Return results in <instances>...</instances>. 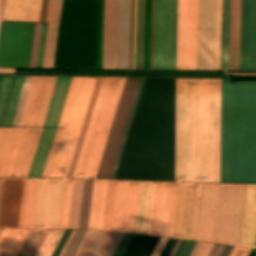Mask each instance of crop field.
<instances>
[{
  "mask_svg": "<svg viewBox=\"0 0 256 256\" xmlns=\"http://www.w3.org/2000/svg\"><path fill=\"white\" fill-rule=\"evenodd\" d=\"M177 79H146L115 179L174 181ZM222 80L178 79L175 181L220 182ZM221 182L256 183V84L223 80Z\"/></svg>",
  "mask_w": 256,
  "mask_h": 256,
  "instance_id": "obj_1",
  "label": "crop field"
},
{
  "mask_svg": "<svg viewBox=\"0 0 256 256\" xmlns=\"http://www.w3.org/2000/svg\"><path fill=\"white\" fill-rule=\"evenodd\" d=\"M171 1L172 0H163L161 69H169ZM198 2L199 0H189V16H188V0H179V15H178V0L172 1L170 69H176L177 15H178L177 69H186L187 16H188L187 69H196ZM161 27H162V0H155L153 69H160Z\"/></svg>",
  "mask_w": 256,
  "mask_h": 256,
  "instance_id": "obj_2",
  "label": "crop field"
},
{
  "mask_svg": "<svg viewBox=\"0 0 256 256\" xmlns=\"http://www.w3.org/2000/svg\"><path fill=\"white\" fill-rule=\"evenodd\" d=\"M246 185L200 184L193 240L238 246Z\"/></svg>",
  "mask_w": 256,
  "mask_h": 256,
  "instance_id": "obj_3",
  "label": "crop field"
},
{
  "mask_svg": "<svg viewBox=\"0 0 256 256\" xmlns=\"http://www.w3.org/2000/svg\"><path fill=\"white\" fill-rule=\"evenodd\" d=\"M74 0H63L59 35L54 68H69ZM99 0H85V41H84V0H75L74 22L70 68H89L90 24L91 55L90 68H97Z\"/></svg>",
  "mask_w": 256,
  "mask_h": 256,
  "instance_id": "obj_4",
  "label": "crop field"
},
{
  "mask_svg": "<svg viewBox=\"0 0 256 256\" xmlns=\"http://www.w3.org/2000/svg\"><path fill=\"white\" fill-rule=\"evenodd\" d=\"M51 179H31L25 228L44 229ZM73 180L52 179L45 229H67Z\"/></svg>",
  "mask_w": 256,
  "mask_h": 256,
  "instance_id": "obj_5",
  "label": "crop field"
},
{
  "mask_svg": "<svg viewBox=\"0 0 256 256\" xmlns=\"http://www.w3.org/2000/svg\"><path fill=\"white\" fill-rule=\"evenodd\" d=\"M95 79L71 78L58 126L64 129L48 177H66Z\"/></svg>",
  "mask_w": 256,
  "mask_h": 256,
  "instance_id": "obj_6",
  "label": "crop field"
},
{
  "mask_svg": "<svg viewBox=\"0 0 256 256\" xmlns=\"http://www.w3.org/2000/svg\"><path fill=\"white\" fill-rule=\"evenodd\" d=\"M121 78H103L73 178H90Z\"/></svg>",
  "mask_w": 256,
  "mask_h": 256,
  "instance_id": "obj_7",
  "label": "crop field"
},
{
  "mask_svg": "<svg viewBox=\"0 0 256 256\" xmlns=\"http://www.w3.org/2000/svg\"><path fill=\"white\" fill-rule=\"evenodd\" d=\"M141 79H127L96 179H110Z\"/></svg>",
  "mask_w": 256,
  "mask_h": 256,
  "instance_id": "obj_8",
  "label": "crop field"
},
{
  "mask_svg": "<svg viewBox=\"0 0 256 256\" xmlns=\"http://www.w3.org/2000/svg\"><path fill=\"white\" fill-rule=\"evenodd\" d=\"M34 23L2 22L0 67H28Z\"/></svg>",
  "mask_w": 256,
  "mask_h": 256,
  "instance_id": "obj_9",
  "label": "crop field"
},
{
  "mask_svg": "<svg viewBox=\"0 0 256 256\" xmlns=\"http://www.w3.org/2000/svg\"><path fill=\"white\" fill-rule=\"evenodd\" d=\"M199 184L176 183L169 237L192 240Z\"/></svg>",
  "mask_w": 256,
  "mask_h": 256,
  "instance_id": "obj_10",
  "label": "crop field"
},
{
  "mask_svg": "<svg viewBox=\"0 0 256 256\" xmlns=\"http://www.w3.org/2000/svg\"><path fill=\"white\" fill-rule=\"evenodd\" d=\"M57 77H33L19 127H43Z\"/></svg>",
  "mask_w": 256,
  "mask_h": 256,
  "instance_id": "obj_11",
  "label": "crop field"
},
{
  "mask_svg": "<svg viewBox=\"0 0 256 256\" xmlns=\"http://www.w3.org/2000/svg\"><path fill=\"white\" fill-rule=\"evenodd\" d=\"M217 0H200L197 69H214Z\"/></svg>",
  "mask_w": 256,
  "mask_h": 256,
  "instance_id": "obj_12",
  "label": "crop field"
},
{
  "mask_svg": "<svg viewBox=\"0 0 256 256\" xmlns=\"http://www.w3.org/2000/svg\"><path fill=\"white\" fill-rule=\"evenodd\" d=\"M174 186L155 182L149 235L168 237Z\"/></svg>",
  "mask_w": 256,
  "mask_h": 256,
  "instance_id": "obj_13",
  "label": "crop field"
},
{
  "mask_svg": "<svg viewBox=\"0 0 256 256\" xmlns=\"http://www.w3.org/2000/svg\"><path fill=\"white\" fill-rule=\"evenodd\" d=\"M240 70H256V0H242Z\"/></svg>",
  "mask_w": 256,
  "mask_h": 256,
  "instance_id": "obj_14",
  "label": "crop field"
},
{
  "mask_svg": "<svg viewBox=\"0 0 256 256\" xmlns=\"http://www.w3.org/2000/svg\"><path fill=\"white\" fill-rule=\"evenodd\" d=\"M139 182L121 181L115 231L132 233Z\"/></svg>",
  "mask_w": 256,
  "mask_h": 256,
  "instance_id": "obj_15",
  "label": "crop field"
},
{
  "mask_svg": "<svg viewBox=\"0 0 256 256\" xmlns=\"http://www.w3.org/2000/svg\"><path fill=\"white\" fill-rule=\"evenodd\" d=\"M123 234L87 231L75 256H112Z\"/></svg>",
  "mask_w": 256,
  "mask_h": 256,
  "instance_id": "obj_16",
  "label": "crop field"
},
{
  "mask_svg": "<svg viewBox=\"0 0 256 256\" xmlns=\"http://www.w3.org/2000/svg\"><path fill=\"white\" fill-rule=\"evenodd\" d=\"M23 182H24V179H15V183H14V179H5L2 207H1V215H0V227L8 228L12 191H13V183H14V191H13L9 228H17L21 196H22V189H23Z\"/></svg>",
  "mask_w": 256,
  "mask_h": 256,
  "instance_id": "obj_17",
  "label": "crop field"
},
{
  "mask_svg": "<svg viewBox=\"0 0 256 256\" xmlns=\"http://www.w3.org/2000/svg\"><path fill=\"white\" fill-rule=\"evenodd\" d=\"M110 0H104L102 68H108ZM117 0H111L109 68H115Z\"/></svg>",
  "mask_w": 256,
  "mask_h": 256,
  "instance_id": "obj_18",
  "label": "crop field"
},
{
  "mask_svg": "<svg viewBox=\"0 0 256 256\" xmlns=\"http://www.w3.org/2000/svg\"><path fill=\"white\" fill-rule=\"evenodd\" d=\"M256 237V186L247 185L239 246L254 249Z\"/></svg>",
  "mask_w": 256,
  "mask_h": 256,
  "instance_id": "obj_19",
  "label": "crop field"
},
{
  "mask_svg": "<svg viewBox=\"0 0 256 256\" xmlns=\"http://www.w3.org/2000/svg\"><path fill=\"white\" fill-rule=\"evenodd\" d=\"M42 0H5L2 20L39 22Z\"/></svg>",
  "mask_w": 256,
  "mask_h": 256,
  "instance_id": "obj_20",
  "label": "crop field"
},
{
  "mask_svg": "<svg viewBox=\"0 0 256 256\" xmlns=\"http://www.w3.org/2000/svg\"><path fill=\"white\" fill-rule=\"evenodd\" d=\"M24 128H0V177H8Z\"/></svg>",
  "mask_w": 256,
  "mask_h": 256,
  "instance_id": "obj_21",
  "label": "crop field"
},
{
  "mask_svg": "<svg viewBox=\"0 0 256 256\" xmlns=\"http://www.w3.org/2000/svg\"><path fill=\"white\" fill-rule=\"evenodd\" d=\"M62 0H49L46 22L59 23ZM59 24H48L42 67L53 68Z\"/></svg>",
  "mask_w": 256,
  "mask_h": 256,
  "instance_id": "obj_22",
  "label": "crop field"
},
{
  "mask_svg": "<svg viewBox=\"0 0 256 256\" xmlns=\"http://www.w3.org/2000/svg\"><path fill=\"white\" fill-rule=\"evenodd\" d=\"M241 0H231L228 70H239Z\"/></svg>",
  "mask_w": 256,
  "mask_h": 256,
  "instance_id": "obj_23",
  "label": "crop field"
},
{
  "mask_svg": "<svg viewBox=\"0 0 256 256\" xmlns=\"http://www.w3.org/2000/svg\"><path fill=\"white\" fill-rule=\"evenodd\" d=\"M154 182H140L134 233L148 235Z\"/></svg>",
  "mask_w": 256,
  "mask_h": 256,
  "instance_id": "obj_24",
  "label": "crop field"
},
{
  "mask_svg": "<svg viewBox=\"0 0 256 256\" xmlns=\"http://www.w3.org/2000/svg\"><path fill=\"white\" fill-rule=\"evenodd\" d=\"M71 77H58L44 127H57Z\"/></svg>",
  "mask_w": 256,
  "mask_h": 256,
  "instance_id": "obj_25",
  "label": "crop field"
},
{
  "mask_svg": "<svg viewBox=\"0 0 256 256\" xmlns=\"http://www.w3.org/2000/svg\"><path fill=\"white\" fill-rule=\"evenodd\" d=\"M57 128H44L28 177H40Z\"/></svg>",
  "mask_w": 256,
  "mask_h": 256,
  "instance_id": "obj_26",
  "label": "crop field"
},
{
  "mask_svg": "<svg viewBox=\"0 0 256 256\" xmlns=\"http://www.w3.org/2000/svg\"><path fill=\"white\" fill-rule=\"evenodd\" d=\"M120 181H108L102 230L114 231Z\"/></svg>",
  "mask_w": 256,
  "mask_h": 256,
  "instance_id": "obj_27",
  "label": "crop field"
},
{
  "mask_svg": "<svg viewBox=\"0 0 256 256\" xmlns=\"http://www.w3.org/2000/svg\"><path fill=\"white\" fill-rule=\"evenodd\" d=\"M102 78H97L66 178H72Z\"/></svg>",
  "mask_w": 256,
  "mask_h": 256,
  "instance_id": "obj_28",
  "label": "crop field"
},
{
  "mask_svg": "<svg viewBox=\"0 0 256 256\" xmlns=\"http://www.w3.org/2000/svg\"><path fill=\"white\" fill-rule=\"evenodd\" d=\"M159 238L134 235L124 256H150Z\"/></svg>",
  "mask_w": 256,
  "mask_h": 256,
  "instance_id": "obj_29",
  "label": "crop field"
},
{
  "mask_svg": "<svg viewBox=\"0 0 256 256\" xmlns=\"http://www.w3.org/2000/svg\"><path fill=\"white\" fill-rule=\"evenodd\" d=\"M230 0H222L220 70H227Z\"/></svg>",
  "mask_w": 256,
  "mask_h": 256,
  "instance_id": "obj_30",
  "label": "crop field"
},
{
  "mask_svg": "<svg viewBox=\"0 0 256 256\" xmlns=\"http://www.w3.org/2000/svg\"><path fill=\"white\" fill-rule=\"evenodd\" d=\"M84 180H74L68 229H78Z\"/></svg>",
  "mask_w": 256,
  "mask_h": 256,
  "instance_id": "obj_31",
  "label": "crop field"
},
{
  "mask_svg": "<svg viewBox=\"0 0 256 256\" xmlns=\"http://www.w3.org/2000/svg\"><path fill=\"white\" fill-rule=\"evenodd\" d=\"M28 232L29 230L11 229L0 250V256H16Z\"/></svg>",
  "mask_w": 256,
  "mask_h": 256,
  "instance_id": "obj_32",
  "label": "crop field"
},
{
  "mask_svg": "<svg viewBox=\"0 0 256 256\" xmlns=\"http://www.w3.org/2000/svg\"><path fill=\"white\" fill-rule=\"evenodd\" d=\"M34 128H25L9 177H18Z\"/></svg>",
  "mask_w": 256,
  "mask_h": 256,
  "instance_id": "obj_33",
  "label": "crop field"
},
{
  "mask_svg": "<svg viewBox=\"0 0 256 256\" xmlns=\"http://www.w3.org/2000/svg\"><path fill=\"white\" fill-rule=\"evenodd\" d=\"M64 230L47 231L35 256H51Z\"/></svg>",
  "mask_w": 256,
  "mask_h": 256,
  "instance_id": "obj_34",
  "label": "crop field"
},
{
  "mask_svg": "<svg viewBox=\"0 0 256 256\" xmlns=\"http://www.w3.org/2000/svg\"><path fill=\"white\" fill-rule=\"evenodd\" d=\"M46 231L30 230L17 256H34Z\"/></svg>",
  "mask_w": 256,
  "mask_h": 256,
  "instance_id": "obj_35",
  "label": "crop field"
},
{
  "mask_svg": "<svg viewBox=\"0 0 256 256\" xmlns=\"http://www.w3.org/2000/svg\"><path fill=\"white\" fill-rule=\"evenodd\" d=\"M150 26H151V0H145L143 69H149Z\"/></svg>",
  "mask_w": 256,
  "mask_h": 256,
  "instance_id": "obj_36",
  "label": "crop field"
},
{
  "mask_svg": "<svg viewBox=\"0 0 256 256\" xmlns=\"http://www.w3.org/2000/svg\"><path fill=\"white\" fill-rule=\"evenodd\" d=\"M125 79L126 78H122L121 82H120V86H119V89H118V92H117V95H116V99H115V102H114V105H113V108H112V111H111V115H110V118H109V121H108V124H107V128H106V131H105V134H104V137H103V141H102L100 151H99V154H98V157H97V160H96V164H95V167H94V170H93V174H92V177H91L93 179L96 178V174H97V171H98V168H99V164H100V161H101V158H102V154H103V151H104L106 140H107V137H108V134H109V130H110V127H111V124H112V120H113V117H114V114H115V110H116V107H117V104H118V101H119V98H120V95H121V91H122Z\"/></svg>",
  "mask_w": 256,
  "mask_h": 256,
  "instance_id": "obj_37",
  "label": "crop field"
},
{
  "mask_svg": "<svg viewBox=\"0 0 256 256\" xmlns=\"http://www.w3.org/2000/svg\"><path fill=\"white\" fill-rule=\"evenodd\" d=\"M43 128H35L19 177H27Z\"/></svg>",
  "mask_w": 256,
  "mask_h": 256,
  "instance_id": "obj_38",
  "label": "crop field"
},
{
  "mask_svg": "<svg viewBox=\"0 0 256 256\" xmlns=\"http://www.w3.org/2000/svg\"><path fill=\"white\" fill-rule=\"evenodd\" d=\"M93 180H85L79 229H87Z\"/></svg>",
  "mask_w": 256,
  "mask_h": 256,
  "instance_id": "obj_39",
  "label": "crop field"
},
{
  "mask_svg": "<svg viewBox=\"0 0 256 256\" xmlns=\"http://www.w3.org/2000/svg\"><path fill=\"white\" fill-rule=\"evenodd\" d=\"M24 77H16L2 126H10Z\"/></svg>",
  "mask_w": 256,
  "mask_h": 256,
  "instance_id": "obj_40",
  "label": "crop field"
},
{
  "mask_svg": "<svg viewBox=\"0 0 256 256\" xmlns=\"http://www.w3.org/2000/svg\"><path fill=\"white\" fill-rule=\"evenodd\" d=\"M32 77H25L11 126L18 127Z\"/></svg>",
  "mask_w": 256,
  "mask_h": 256,
  "instance_id": "obj_41",
  "label": "crop field"
},
{
  "mask_svg": "<svg viewBox=\"0 0 256 256\" xmlns=\"http://www.w3.org/2000/svg\"><path fill=\"white\" fill-rule=\"evenodd\" d=\"M136 11H137V0H132L130 68H134V69H135V50H136Z\"/></svg>",
  "mask_w": 256,
  "mask_h": 256,
  "instance_id": "obj_42",
  "label": "crop field"
},
{
  "mask_svg": "<svg viewBox=\"0 0 256 256\" xmlns=\"http://www.w3.org/2000/svg\"><path fill=\"white\" fill-rule=\"evenodd\" d=\"M42 24L35 23L29 67H36Z\"/></svg>",
  "mask_w": 256,
  "mask_h": 256,
  "instance_id": "obj_43",
  "label": "crop field"
},
{
  "mask_svg": "<svg viewBox=\"0 0 256 256\" xmlns=\"http://www.w3.org/2000/svg\"><path fill=\"white\" fill-rule=\"evenodd\" d=\"M144 80L145 79L141 80L140 87H139V90H138V93H137V96H136V100H135V103H134V106H133V109H132V113H131V116H130V119H129V122H128V126H127V129H126V132H125V136H124V139H123V142H122V145H121V149H120V152H119L117 162H116V165H115V168H114L113 175H112L111 179L115 178L116 171H117V168H118V165H119V162H120V158H121V155H122V152H123V149H124V145H125V142H126V139H127V136H128V132H129V129H130V126H131V122H132V119H133V116H134V113H135V109H136V106H137V103H138V100H139V96H140L142 87H143Z\"/></svg>",
  "mask_w": 256,
  "mask_h": 256,
  "instance_id": "obj_44",
  "label": "crop field"
},
{
  "mask_svg": "<svg viewBox=\"0 0 256 256\" xmlns=\"http://www.w3.org/2000/svg\"><path fill=\"white\" fill-rule=\"evenodd\" d=\"M106 185H107V181H101L98 209H97V217H96V225H95L96 230H101V226H102Z\"/></svg>",
  "mask_w": 256,
  "mask_h": 256,
  "instance_id": "obj_45",
  "label": "crop field"
},
{
  "mask_svg": "<svg viewBox=\"0 0 256 256\" xmlns=\"http://www.w3.org/2000/svg\"><path fill=\"white\" fill-rule=\"evenodd\" d=\"M100 181L94 180L88 229H94Z\"/></svg>",
  "mask_w": 256,
  "mask_h": 256,
  "instance_id": "obj_46",
  "label": "crop field"
},
{
  "mask_svg": "<svg viewBox=\"0 0 256 256\" xmlns=\"http://www.w3.org/2000/svg\"><path fill=\"white\" fill-rule=\"evenodd\" d=\"M86 231L76 230L69 246L67 247L63 256H74L77 251Z\"/></svg>",
  "mask_w": 256,
  "mask_h": 256,
  "instance_id": "obj_47",
  "label": "crop field"
},
{
  "mask_svg": "<svg viewBox=\"0 0 256 256\" xmlns=\"http://www.w3.org/2000/svg\"><path fill=\"white\" fill-rule=\"evenodd\" d=\"M30 179H25L18 228H24Z\"/></svg>",
  "mask_w": 256,
  "mask_h": 256,
  "instance_id": "obj_48",
  "label": "crop field"
},
{
  "mask_svg": "<svg viewBox=\"0 0 256 256\" xmlns=\"http://www.w3.org/2000/svg\"><path fill=\"white\" fill-rule=\"evenodd\" d=\"M63 128H58L41 177H47Z\"/></svg>",
  "mask_w": 256,
  "mask_h": 256,
  "instance_id": "obj_49",
  "label": "crop field"
},
{
  "mask_svg": "<svg viewBox=\"0 0 256 256\" xmlns=\"http://www.w3.org/2000/svg\"><path fill=\"white\" fill-rule=\"evenodd\" d=\"M220 19H221V0H218V5H217V29H216V56H215V69H217V70H219Z\"/></svg>",
  "mask_w": 256,
  "mask_h": 256,
  "instance_id": "obj_50",
  "label": "crop field"
},
{
  "mask_svg": "<svg viewBox=\"0 0 256 256\" xmlns=\"http://www.w3.org/2000/svg\"><path fill=\"white\" fill-rule=\"evenodd\" d=\"M13 77H3L0 85V118Z\"/></svg>",
  "mask_w": 256,
  "mask_h": 256,
  "instance_id": "obj_51",
  "label": "crop field"
},
{
  "mask_svg": "<svg viewBox=\"0 0 256 256\" xmlns=\"http://www.w3.org/2000/svg\"><path fill=\"white\" fill-rule=\"evenodd\" d=\"M143 25H144V0H141V25H140V55H139V69H142V54H143Z\"/></svg>",
  "mask_w": 256,
  "mask_h": 256,
  "instance_id": "obj_52",
  "label": "crop field"
},
{
  "mask_svg": "<svg viewBox=\"0 0 256 256\" xmlns=\"http://www.w3.org/2000/svg\"><path fill=\"white\" fill-rule=\"evenodd\" d=\"M102 23H103V0H100V22H99V53H98V68H101V53H102Z\"/></svg>",
  "mask_w": 256,
  "mask_h": 256,
  "instance_id": "obj_53",
  "label": "crop field"
},
{
  "mask_svg": "<svg viewBox=\"0 0 256 256\" xmlns=\"http://www.w3.org/2000/svg\"><path fill=\"white\" fill-rule=\"evenodd\" d=\"M133 235L124 234L119 246L117 247L113 256H123L127 246L129 245Z\"/></svg>",
  "mask_w": 256,
  "mask_h": 256,
  "instance_id": "obj_54",
  "label": "crop field"
},
{
  "mask_svg": "<svg viewBox=\"0 0 256 256\" xmlns=\"http://www.w3.org/2000/svg\"><path fill=\"white\" fill-rule=\"evenodd\" d=\"M47 24H43L37 67H41Z\"/></svg>",
  "mask_w": 256,
  "mask_h": 256,
  "instance_id": "obj_55",
  "label": "crop field"
},
{
  "mask_svg": "<svg viewBox=\"0 0 256 256\" xmlns=\"http://www.w3.org/2000/svg\"><path fill=\"white\" fill-rule=\"evenodd\" d=\"M70 232H71V230H65V232H64V234H63V236H62V238H61V240H60L58 246L56 247L52 256H58L59 255L62 247L64 246V244H65V242H66V240H67V238L70 234Z\"/></svg>",
  "mask_w": 256,
  "mask_h": 256,
  "instance_id": "obj_56",
  "label": "crop field"
},
{
  "mask_svg": "<svg viewBox=\"0 0 256 256\" xmlns=\"http://www.w3.org/2000/svg\"><path fill=\"white\" fill-rule=\"evenodd\" d=\"M139 25H140V0H138V12H137V50H136V69H138V54H139Z\"/></svg>",
  "mask_w": 256,
  "mask_h": 256,
  "instance_id": "obj_57",
  "label": "crop field"
},
{
  "mask_svg": "<svg viewBox=\"0 0 256 256\" xmlns=\"http://www.w3.org/2000/svg\"><path fill=\"white\" fill-rule=\"evenodd\" d=\"M195 244H196V242L186 241L179 256H190Z\"/></svg>",
  "mask_w": 256,
  "mask_h": 256,
  "instance_id": "obj_58",
  "label": "crop field"
},
{
  "mask_svg": "<svg viewBox=\"0 0 256 256\" xmlns=\"http://www.w3.org/2000/svg\"><path fill=\"white\" fill-rule=\"evenodd\" d=\"M168 239L160 238L153 254L151 256H160L161 252L163 251Z\"/></svg>",
  "mask_w": 256,
  "mask_h": 256,
  "instance_id": "obj_59",
  "label": "crop field"
},
{
  "mask_svg": "<svg viewBox=\"0 0 256 256\" xmlns=\"http://www.w3.org/2000/svg\"><path fill=\"white\" fill-rule=\"evenodd\" d=\"M213 244L202 243L196 256H208Z\"/></svg>",
  "mask_w": 256,
  "mask_h": 256,
  "instance_id": "obj_60",
  "label": "crop field"
},
{
  "mask_svg": "<svg viewBox=\"0 0 256 256\" xmlns=\"http://www.w3.org/2000/svg\"><path fill=\"white\" fill-rule=\"evenodd\" d=\"M153 26H154V0H152V26H151V55H150V69H152V54H153Z\"/></svg>",
  "mask_w": 256,
  "mask_h": 256,
  "instance_id": "obj_61",
  "label": "crop field"
},
{
  "mask_svg": "<svg viewBox=\"0 0 256 256\" xmlns=\"http://www.w3.org/2000/svg\"><path fill=\"white\" fill-rule=\"evenodd\" d=\"M175 242H176V240L169 239V241H168L164 251L162 252L161 256H169Z\"/></svg>",
  "mask_w": 256,
  "mask_h": 256,
  "instance_id": "obj_62",
  "label": "crop field"
},
{
  "mask_svg": "<svg viewBox=\"0 0 256 256\" xmlns=\"http://www.w3.org/2000/svg\"><path fill=\"white\" fill-rule=\"evenodd\" d=\"M243 251H244L243 248L234 247V249H233V251H232L230 256H241ZM249 252H250V250L245 249V251H244L242 256H248Z\"/></svg>",
  "mask_w": 256,
  "mask_h": 256,
  "instance_id": "obj_63",
  "label": "crop field"
},
{
  "mask_svg": "<svg viewBox=\"0 0 256 256\" xmlns=\"http://www.w3.org/2000/svg\"><path fill=\"white\" fill-rule=\"evenodd\" d=\"M10 229H3L1 235H0V248L2 247Z\"/></svg>",
  "mask_w": 256,
  "mask_h": 256,
  "instance_id": "obj_64",
  "label": "crop field"
},
{
  "mask_svg": "<svg viewBox=\"0 0 256 256\" xmlns=\"http://www.w3.org/2000/svg\"><path fill=\"white\" fill-rule=\"evenodd\" d=\"M233 247L230 246H225L221 256H229L231 251H232Z\"/></svg>",
  "mask_w": 256,
  "mask_h": 256,
  "instance_id": "obj_65",
  "label": "crop field"
},
{
  "mask_svg": "<svg viewBox=\"0 0 256 256\" xmlns=\"http://www.w3.org/2000/svg\"><path fill=\"white\" fill-rule=\"evenodd\" d=\"M74 232H75V230H72V232H71V234H70V236H69V238H68V240H67L65 246L63 247V249H62V251H61V253H60L59 256H62V255H63V253H64L66 247L68 246V244H69V242H70V240H71V238H72V236H73V234H74Z\"/></svg>",
  "mask_w": 256,
  "mask_h": 256,
  "instance_id": "obj_66",
  "label": "crop field"
},
{
  "mask_svg": "<svg viewBox=\"0 0 256 256\" xmlns=\"http://www.w3.org/2000/svg\"><path fill=\"white\" fill-rule=\"evenodd\" d=\"M180 242H181V240H177V242H176V244H175V246H174V248H173V250H172L170 256H174V254H175V252H176V250H177V248H178Z\"/></svg>",
  "mask_w": 256,
  "mask_h": 256,
  "instance_id": "obj_67",
  "label": "crop field"
},
{
  "mask_svg": "<svg viewBox=\"0 0 256 256\" xmlns=\"http://www.w3.org/2000/svg\"><path fill=\"white\" fill-rule=\"evenodd\" d=\"M3 183H4V179H0V207H1V199H2Z\"/></svg>",
  "mask_w": 256,
  "mask_h": 256,
  "instance_id": "obj_68",
  "label": "crop field"
},
{
  "mask_svg": "<svg viewBox=\"0 0 256 256\" xmlns=\"http://www.w3.org/2000/svg\"><path fill=\"white\" fill-rule=\"evenodd\" d=\"M200 245H201V243H200V242H197V244H196V246H195V248H194V250H193L191 256H195V255H196V253H197V251H198Z\"/></svg>",
  "mask_w": 256,
  "mask_h": 256,
  "instance_id": "obj_69",
  "label": "crop field"
},
{
  "mask_svg": "<svg viewBox=\"0 0 256 256\" xmlns=\"http://www.w3.org/2000/svg\"><path fill=\"white\" fill-rule=\"evenodd\" d=\"M0 73H15V69H0Z\"/></svg>",
  "mask_w": 256,
  "mask_h": 256,
  "instance_id": "obj_70",
  "label": "crop field"
},
{
  "mask_svg": "<svg viewBox=\"0 0 256 256\" xmlns=\"http://www.w3.org/2000/svg\"><path fill=\"white\" fill-rule=\"evenodd\" d=\"M223 248H224V246L219 245V247H218V249H217V251H216V253H215V255H214V256H220V254H221V252H222Z\"/></svg>",
  "mask_w": 256,
  "mask_h": 256,
  "instance_id": "obj_71",
  "label": "crop field"
},
{
  "mask_svg": "<svg viewBox=\"0 0 256 256\" xmlns=\"http://www.w3.org/2000/svg\"><path fill=\"white\" fill-rule=\"evenodd\" d=\"M184 243H185V241H184V240H182V242H181V244H180V246H179V248H178V250H177V252H176L175 256H178V255H179V253H180V251H181V249H182V247H183Z\"/></svg>",
  "mask_w": 256,
  "mask_h": 256,
  "instance_id": "obj_72",
  "label": "crop field"
},
{
  "mask_svg": "<svg viewBox=\"0 0 256 256\" xmlns=\"http://www.w3.org/2000/svg\"><path fill=\"white\" fill-rule=\"evenodd\" d=\"M217 247H218V245H217V244H214V246H213V248H212V250H211L209 256H213V255H214V253H215Z\"/></svg>",
  "mask_w": 256,
  "mask_h": 256,
  "instance_id": "obj_73",
  "label": "crop field"
},
{
  "mask_svg": "<svg viewBox=\"0 0 256 256\" xmlns=\"http://www.w3.org/2000/svg\"><path fill=\"white\" fill-rule=\"evenodd\" d=\"M229 74V73H227ZM233 75H253V76H256V74H233Z\"/></svg>",
  "mask_w": 256,
  "mask_h": 256,
  "instance_id": "obj_74",
  "label": "crop field"
},
{
  "mask_svg": "<svg viewBox=\"0 0 256 256\" xmlns=\"http://www.w3.org/2000/svg\"><path fill=\"white\" fill-rule=\"evenodd\" d=\"M255 251H256V250H255ZM253 252H254V250H251L249 256H252ZM254 253H255V252H254ZM253 255H254V254H253Z\"/></svg>",
  "mask_w": 256,
  "mask_h": 256,
  "instance_id": "obj_75",
  "label": "crop field"
},
{
  "mask_svg": "<svg viewBox=\"0 0 256 256\" xmlns=\"http://www.w3.org/2000/svg\"><path fill=\"white\" fill-rule=\"evenodd\" d=\"M1 5H2V0H0V15H1Z\"/></svg>",
  "mask_w": 256,
  "mask_h": 256,
  "instance_id": "obj_76",
  "label": "crop field"
},
{
  "mask_svg": "<svg viewBox=\"0 0 256 256\" xmlns=\"http://www.w3.org/2000/svg\"><path fill=\"white\" fill-rule=\"evenodd\" d=\"M253 256H256V251H255V253H254V255Z\"/></svg>",
  "mask_w": 256,
  "mask_h": 256,
  "instance_id": "obj_77",
  "label": "crop field"
},
{
  "mask_svg": "<svg viewBox=\"0 0 256 256\" xmlns=\"http://www.w3.org/2000/svg\"><path fill=\"white\" fill-rule=\"evenodd\" d=\"M1 78H2V77H0V82H1Z\"/></svg>",
  "mask_w": 256,
  "mask_h": 256,
  "instance_id": "obj_78",
  "label": "crop field"
},
{
  "mask_svg": "<svg viewBox=\"0 0 256 256\" xmlns=\"http://www.w3.org/2000/svg\"><path fill=\"white\" fill-rule=\"evenodd\" d=\"M2 229H0V233H1Z\"/></svg>",
  "mask_w": 256,
  "mask_h": 256,
  "instance_id": "obj_79",
  "label": "crop field"
},
{
  "mask_svg": "<svg viewBox=\"0 0 256 256\" xmlns=\"http://www.w3.org/2000/svg\"><path fill=\"white\" fill-rule=\"evenodd\" d=\"M255 249H256V246H255Z\"/></svg>",
  "mask_w": 256,
  "mask_h": 256,
  "instance_id": "obj_80",
  "label": "crop field"
}]
</instances>
